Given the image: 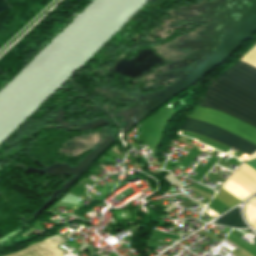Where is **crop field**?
I'll use <instances>...</instances> for the list:
<instances>
[{"label":"crop field","instance_id":"1","mask_svg":"<svg viewBox=\"0 0 256 256\" xmlns=\"http://www.w3.org/2000/svg\"><path fill=\"white\" fill-rule=\"evenodd\" d=\"M242 61L256 67V46ZM242 61L210 84L199 106L219 110L256 127V68Z\"/></svg>","mask_w":256,"mask_h":256},{"label":"crop field","instance_id":"2","mask_svg":"<svg viewBox=\"0 0 256 256\" xmlns=\"http://www.w3.org/2000/svg\"><path fill=\"white\" fill-rule=\"evenodd\" d=\"M188 118L196 119L256 145V129L216 110L195 107ZM186 118L180 129L210 137L248 155L256 146L196 120Z\"/></svg>","mask_w":256,"mask_h":256},{"label":"crop field","instance_id":"3","mask_svg":"<svg viewBox=\"0 0 256 256\" xmlns=\"http://www.w3.org/2000/svg\"><path fill=\"white\" fill-rule=\"evenodd\" d=\"M59 243L47 238L37 244L30 245L28 248L12 253L7 256H64L65 252L58 248Z\"/></svg>","mask_w":256,"mask_h":256},{"label":"crop field","instance_id":"4","mask_svg":"<svg viewBox=\"0 0 256 256\" xmlns=\"http://www.w3.org/2000/svg\"><path fill=\"white\" fill-rule=\"evenodd\" d=\"M217 224L229 227L247 228L240 218V208L237 207L216 220Z\"/></svg>","mask_w":256,"mask_h":256},{"label":"crop field","instance_id":"5","mask_svg":"<svg viewBox=\"0 0 256 256\" xmlns=\"http://www.w3.org/2000/svg\"><path fill=\"white\" fill-rule=\"evenodd\" d=\"M222 188L230 192L232 195H234L241 201L247 198L248 196L252 195L229 179L227 180V182L224 184Z\"/></svg>","mask_w":256,"mask_h":256},{"label":"crop field","instance_id":"6","mask_svg":"<svg viewBox=\"0 0 256 256\" xmlns=\"http://www.w3.org/2000/svg\"><path fill=\"white\" fill-rule=\"evenodd\" d=\"M214 198H216L217 200H219L220 202H222L224 205H226L229 208H231V207L237 205L239 202H241L222 188L220 189V191L216 194V196Z\"/></svg>","mask_w":256,"mask_h":256},{"label":"crop field","instance_id":"7","mask_svg":"<svg viewBox=\"0 0 256 256\" xmlns=\"http://www.w3.org/2000/svg\"><path fill=\"white\" fill-rule=\"evenodd\" d=\"M244 213L247 221L252 225L253 228H256V207L247 202Z\"/></svg>","mask_w":256,"mask_h":256},{"label":"crop field","instance_id":"8","mask_svg":"<svg viewBox=\"0 0 256 256\" xmlns=\"http://www.w3.org/2000/svg\"><path fill=\"white\" fill-rule=\"evenodd\" d=\"M246 164L256 171V159H254Z\"/></svg>","mask_w":256,"mask_h":256},{"label":"crop field","instance_id":"9","mask_svg":"<svg viewBox=\"0 0 256 256\" xmlns=\"http://www.w3.org/2000/svg\"><path fill=\"white\" fill-rule=\"evenodd\" d=\"M254 158H256V153L254 155H252L249 159H247L246 162L249 161V160H252Z\"/></svg>","mask_w":256,"mask_h":256},{"label":"crop field","instance_id":"10","mask_svg":"<svg viewBox=\"0 0 256 256\" xmlns=\"http://www.w3.org/2000/svg\"><path fill=\"white\" fill-rule=\"evenodd\" d=\"M250 203L256 206V197L253 200H251Z\"/></svg>","mask_w":256,"mask_h":256}]
</instances>
